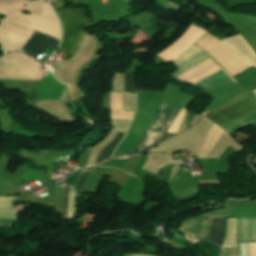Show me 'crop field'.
I'll return each instance as SVG.
<instances>
[{
	"label": "crop field",
	"instance_id": "obj_1",
	"mask_svg": "<svg viewBox=\"0 0 256 256\" xmlns=\"http://www.w3.org/2000/svg\"><path fill=\"white\" fill-rule=\"evenodd\" d=\"M209 58L211 57L200 49L177 63L176 65L178 67V71L170 75L173 77H177ZM221 69L223 68L218 63H216L213 58H211L175 79H178L182 82L195 84L196 82L208 77L209 75ZM223 70L196 83L195 85L207 92L215 94L225 89L226 87L236 83L231 77L228 76L229 74L224 70L228 74L227 75Z\"/></svg>",
	"mask_w": 256,
	"mask_h": 256
},
{
	"label": "crop field",
	"instance_id": "obj_2",
	"mask_svg": "<svg viewBox=\"0 0 256 256\" xmlns=\"http://www.w3.org/2000/svg\"><path fill=\"white\" fill-rule=\"evenodd\" d=\"M53 8L63 24V40L58 49L76 53L86 32L88 12L70 8L65 11L55 5Z\"/></svg>",
	"mask_w": 256,
	"mask_h": 256
},
{
	"label": "crop field",
	"instance_id": "obj_3",
	"mask_svg": "<svg viewBox=\"0 0 256 256\" xmlns=\"http://www.w3.org/2000/svg\"><path fill=\"white\" fill-rule=\"evenodd\" d=\"M181 110V107L160 103L157 115L141 141L137 144L131 154L144 152L162 141L166 140V131Z\"/></svg>",
	"mask_w": 256,
	"mask_h": 256
},
{
	"label": "crop field",
	"instance_id": "obj_4",
	"mask_svg": "<svg viewBox=\"0 0 256 256\" xmlns=\"http://www.w3.org/2000/svg\"><path fill=\"white\" fill-rule=\"evenodd\" d=\"M255 107V93L251 92L237 96L236 99L232 101L229 105L222 109L209 113L208 115H206V117L221 127L241 117Z\"/></svg>",
	"mask_w": 256,
	"mask_h": 256
},
{
	"label": "crop field",
	"instance_id": "obj_5",
	"mask_svg": "<svg viewBox=\"0 0 256 256\" xmlns=\"http://www.w3.org/2000/svg\"><path fill=\"white\" fill-rule=\"evenodd\" d=\"M60 41L36 32L15 51H25L33 56L41 49L54 52Z\"/></svg>",
	"mask_w": 256,
	"mask_h": 256
},
{
	"label": "crop field",
	"instance_id": "obj_6",
	"mask_svg": "<svg viewBox=\"0 0 256 256\" xmlns=\"http://www.w3.org/2000/svg\"><path fill=\"white\" fill-rule=\"evenodd\" d=\"M222 41H224L228 46H230L248 62L256 66V53L240 35L234 38L229 37Z\"/></svg>",
	"mask_w": 256,
	"mask_h": 256
},
{
	"label": "crop field",
	"instance_id": "obj_7",
	"mask_svg": "<svg viewBox=\"0 0 256 256\" xmlns=\"http://www.w3.org/2000/svg\"><path fill=\"white\" fill-rule=\"evenodd\" d=\"M122 95L111 92L110 98V117L113 119H132L134 111H124Z\"/></svg>",
	"mask_w": 256,
	"mask_h": 256
},
{
	"label": "crop field",
	"instance_id": "obj_8",
	"mask_svg": "<svg viewBox=\"0 0 256 256\" xmlns=\"http://www.w3.org/2000/svg\"><path fill=\"white\" fill-rule=\"evenodd\" d=\"M256 241V218H241L240 242Z\"/></svg>",
	"mask_w": 256,
	"mask_h": 256
},
{
	"label": "crop field",
	"instance_id": "obj_9",
	"mask_svg": "<svg viewBox=\"0 0 256 256\" xmlns=\"http://www.w3.org/2000/svg\"><path fill=\"white\" fill-rule=\"evenodd\" d=\"M225 227V218H212V228L207 241L221 245Z\"/></svg>",
	"mask_w": 256,
	"mask_h": 256
},
{
	"label": "crop field",
	"instance_id": "obj_10",
	"mask_svg": "<svg viewBox=\"0 0 256 256\" xmlns=\"http://www.w3.org/2000/svg\"><path fill=\"white\" fill-rule=\"evenodd\" d=\"M225 130L218 127L214 124L210 134L208 135L199 155L198 158H206L212 147L215 145L217 140L220 138V136L223 134Z\"/></svg>",
	"mask_w": 256,
	"mask_h": 256
},
{
	"label": "crop field",
	"instance_id": "obj_11",
	"mask_svg": "<svg viewBox=\"0 0 256 256\" xmlns=\"http://www.w3.org/2000/svg\"><path fill=\"white\" fill-rule=\"evenodd\" d=\"M124 134H125V132L120 131L118 136L105 147V149L100 153V155L96 161V166L109 160L113 151L115 150V148L117 147V145L119 144L121 139L123 138Z\"/></svg>",
	"mask_w": 256,
	"mask_h": 256
},
{
	"label": "crop field",
	"instance_id": "obj_12",
	"mask_svg": "<svg viewBox=\"0 0 256 256\" xmlns=\"http://www.w3.org/2000/svg\"><path fill=\"white\" fill-rule=\"evenodd\" d=\"M125 81H126V87L124 91L137 93L136 74H126Z\"/></svg>",
	"mask_w": 256,
	"mask_h": 256
},
{
	"label": "crop field",
	"instance_id": "obj_13",
	"mask_svg": "<svg viewBox=\"0 0 256 256\" xmlns=\"http://www.w3.org/2000/svg\"><path fill=\"white\" fill-rule=\"evenodd\" d=\"M91 172H92V170L82 171V173L75 185V188L77 190V197L82 195L83 184H84L85 180L88 178V176L91 174Z\"/></svg>",
	"mask_w": 256,
	"mask_h": 256
},
{
	"label": "crop field",
	"instance_id": "obj_14",
	"mask_svg": "<svg viewBox=\"0 0 256 256\" xmlns=\"http://www.w3.org/2000/svg\"><path fill=\"white\" fill-rule=\"evenodd\" d=\"M69 188H70L69 185H66V186H65L62 219H68V196H69ZM70 191H71V189H70Z\"/></svg>",
	"mask_w": 256,
	"mask_h": 256
},
{
	"label": "crop field",
	"instance_id": "obj_15",
	"mask_svg": "<svg viewBox=\"0 0 256 256\" xmlns=\"http://www.w3.org/2000/svg\"><path fill=\"white\" fill-rule=\"evenodd\" d=\"M250 256H256V243H248Z\"/></svg>",
	"mask_w": 256,
	"mask_h": 256
}]
</instances>
